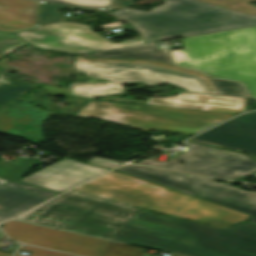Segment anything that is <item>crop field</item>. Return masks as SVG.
<instances>
[{"instance_id": "8a807250", "label": "crop field", "mask_w": 256, "mask_h": 256, "mask_svg": "<svg viewBox=\"0 0 256 256\" xmlns=\"http://www.w3.org/2000/svg\"><path fill=\"white\" fill-rule=\"evenodd\" d=\"M108 239L186 256H256V226L226 231L144 210Z\"/></svg>"}, {"instance_id": "ac0d7876", "label": "crop field", "mask_w": 256, "mask_h": 256, "mask_svg": "<svg viewBox=\"0 0 256 256\" xmlns=\"http://www.w3.org/2000/svg\"><path fill=\"white\" fill-rule=\"evenodd\" d=\"M74 190L184 217L222 229L249 218L245 213L115 171Z\"/></svg>"}, {"instance_id": "34b2d1b8", "label": "crop field", "mask_w": 256, "mask_h": 256, "mask_svg": "<svg viewBox=\"0 0 256 256\" xmlns=\"http://www.w3.org/2000/svg\"><path fill=\"white\" fill-rule=\"evenodd\" d=\"M151 12L122 8L111 13L129 22L145 43L256 26V16L197 0H163Z\"/></svg>"}, {"instance_id": "412701ff", "label": "crop field", "mask_w": 256, "mask_h": 256, "mask_svg": "<svg viewBox=\"0 0 256 256\" xmlns=\"http://www.w3.org/2000/svg\"><path fill=\"white\" fill-rule=\"evenodd\" d=\"M76 71L85 72L93 78H104L111 82L94 84L74 83L68 85L74 95L95 98L102 95H117L124 92V82H146L152 86L170 83L186 91L216 93L209 78L201 72L193 71L153 60L74 58Z\"/></svg>"}, {"instance_id": "f4fd0767", "label": "crop field", "mask_w": 256, "mask_h": 256, "mask_svg": "<svg viewBox=\"0 0 256 256\" xmlns=\"http://www.w3.org/2000/svg\"><path fill=\"white\" fill-rule=\"evenodd\" d=\"M175 64L244 82L256 98V27L183 38Z\"/></svg>"}, {"instance_id": "dd49c442", "label": "crop field", "mask_w": 256, "mask_h": 256, "mask_svg": "<svg viewBox=\"0 0 256 256\" xmlns=\"http://www.w3.org/2000/svg\"><path fill=\"white\" fill-rule=\"evenodd\" d=\"M141 210L72 190L16 220L108 238Z\"/></svg>"}, {"instance_id": "e52e79f7", "label": "crop field", "mask_w": 256, "mask_h": 256, "mask_svg": "<svg viewBox=\"0 0 256 256\" xmlns=\"http://www.w3.org/2000/svg\"><path fill=\"white\" fill-rule=\"evenodd\" d=\"M144 131L195 135L235 115L90 101L76 114Z\"/></svg>"}, {"instance_id": "d8731c3e", "label": "crop field", "mask_w": 256, "mask_h": 256, "mask_svg": "<svg viewBox=\"0 0 256 256\" xmlns=\"http://www.w3.org/2000/svg\"><path fill=\"white\" fill-rule=\"evenodd\" d=\"M127 174L202 198L248 214L249 222L256 223V192L245 191L215 179L164 171L137 165L116 169Z\"/></svg>"}, {"instance_id": "5a996713", "label": "crop field", "mask_w": 256, "mask_h": 256, "mask_svg": "<svg viewBox=\"0 0 256 256\" xmlns=\"http://www.w3.org/2000/svg\"><path fill=\"white\" fill-rule=\"evenodd\" d=\"M36 86L0 71V133L34 143L44 140L42 124L55 113L34 107L19 98Z\"/></svg>"}, {"instance_id": "3316defc", "label": "crop field", "mask_w": 256, "mask_h": 256, "mask_svg": "<svg viewBox=\"0 0 256 256\" xmlns=\"http://www.w3.org/2000/svg\"><path fill=\"white\" fill-rule=\"evenodd\" d=\"M91 26L72 22H60L14 32L28 44L71 55L109 48L142 44V38L122 41L119 44L105 40L92 32Z\"/></svg>"}, {"instance_id": "28ad6ade", "label": "crop field", "mask_w": 256, "mask_h": 256, "mask_svg": "<svg viewBox=\"0 0 256 256\" xmlns=\"http://www.w3.org/2000/svg\"><path fill=\"white\" fill-rule=\"evenodd\" d=\"M183 145L192 147L169 163L153 161L157 157L154 156L138 162V164L217 176L231 180L256 172V162L241 153L189 142ZM180 161L185 163L179 165Z\"/></svg>"}, {"instance_id": "d1516ede", "label": "crop field", "mask_w": 256, "mask_h": 256, "mask_svg": "<svg viewBox=\"0 0 256 256\" xmlns=\"http://www.w3.org/2000/svg\"><path fill=\"white\" fill-rule=\"evenodd\" d=\"M8 237L81 256H102L109 241L11 220L3 226Z\"/></svg>"}, {"instance_id": "22f410ed", "label": "crop field", "mask_w": 256, "mask_h": 256, "mask_svg": "<svg viewBox=\"0 0 256 256\" xmlns=\"http://www.w3.org/2000/svg\"><path fill=\"white\" fill-rule=\"evenodd\" d=\"M190 141L244 152L256 158V112L241 115Z\"/></svg>"}, {"instance_id": "cbeb9de0", "label": "crop field", "mask_w": 256, "mask_h": 256, "mask_svg": "<svg viewBox=\"0 0 256 256\" xmlns=\"http://www.w3.org/2000/svg\"><path fill=\"white\" fill-rule=\"evenodd\" d=\"M107 170L109 169L64 159L21 179L20 182L62 193Z\"/></svg>"}, {"instance_id": "5142ce71", "label": "crop field", "mask_w": 256, "mask_h": 256, "mask_svg": "<svg viewBox=\"0 0 256 256\" xmlns=\"http://www.w3.org/2000/svg\"><path fill=\"white\" fill-rule=\"evenodd\" d=\"M41 1L107 9L110 0H0V31L36 26Z\"/></svg>"}, {"instance_id": "d9b57169", "label": "crop field", "mask_w": 256, "mask_h": 256, "mask_svg": "<svg viewBox=\"0 0 256 256\" xmlns=\"http://www.w3.org/2000/svg\"><path fill=\"white\" fill-rule=\"evenodd\" d=\"M204 94L180 92L178 96L149 98L145 105L202 110ZM207 95L206 110L238 114L244 111L246 99L227 96Z\"/></svg>"}, {"instance_id": "733c2abd", "label": "crop field", "mask_w": 256, "mask_h": 256, "mask_svg": "<svg viewBox=\"0 0 256 256\" xmlns=\"http://www.w3.org/2000/svg\"><path fill=\"white\" fill-rule=\"evenodd\" d=\"M59 193L10 181L0 186V222Z\"/></svg>"}, {"instance_id": "4a817a6b", "label": "crop field", "mask_w": 256, "mask_h": 256, "mask_svg": "<svg viewBox=\"0 0 256 256\" xmlns=\"http://www.w3.org/2000/svg\"><path fill=\"white\" fill-rule=\"evenodd\" d=\"M87 57L153 59L172 64L169 49L159 50L155 42L93 52Z\"/></svg>"}, {"instance_id": "bc2a9ffb", "label": "crop field", "mask_w": 256, "mask_h": 256, "mask_svg": "<svg viewBox=\"0 0 256 256\" xmlns=\"http://www.w3.org/2000/svg\"><path fill=\"white\" fill-rule=\"evenodd\" d=\"M145 251V249L110 241L103 256H142Z\"/></svg>"}, {"instance_id": "214f88e0", "label": "crop field", "mask_w": 256, "mask_h": 256, "mask_svg": "<svg viewBox=\"0 0 256 256\" xmlns=\"http://www.w3.org/2000/svg\"><path fill=\"white\" fill-rule=\"evenodd\" d=\"M27 44L14 33L0 32V58Z\"/></svg>"}, {"instance_id": "92a150f3", "label": "crop field", "mask_w": 256, "mask_h": 256, "mask_svg": "<svg viewBox=\"0 0 256 256\" xmlns=\"http://www.w3.org/2000/svg\"><path fill=\"white\" fill-rule=\"evenodd\" d=\"M210 80L220 94L248 97L241 84L215 78H210Z\"/></svg>"}, {"instance_id": "dafd665d", "label": "crop field", "mask_w": 256, "mask_h": 256, "mask_svg": "<svg viewBox=\"0 0 256 256\" xmlns=\"http://www.w3.org/2000/svg\"><path fill=\"white\" fill-rule=\"evenodd\" d=\"M21 249H26V250L33 251L30 256H72V255H67V254H63V253H58V252H53V251H49V250L36 248V247H33V246H29V245H25ZM16 256H22V255H19L17 253Z\"/></svg>"}, {"instance_id": "00972430", "label": "crop field", "mask_w": 256, "mask_h": 256, "mask_svg": "<svg viewBox=\"0 0 256 256\" xmlns=\"http://www.w3.org/2000/svg\"><path fill=\"white\" fill-rule=\"evenodd\" d=\"M86 163L102 166V167H108V168H113L117 165H120L121 163L113 162V161H104L100 159L93 158ZM118 167V166H117Z\"/></svg>"}, {"instance_id": "a9b5d70f", "label": "crop field", "mask_w": 256, "mask_h": 256, "mask_svg": "<svg viewBox=\"0 0 256 256\" xmlns=\"http://www.w3.org/2000/svg\"><path fill=\"white\" fill-rule=\"evenodd\" d=\"M102 100H111V101H120V102H130V103H139L144 104L145 101L142 100H133V99H123V98H113V97H106L101 98Z\"/></svg>"}, {"instance_id": "4177f3b9", "label": "crop field", "mask_w": 256, "mask_h": 256, "mask_svg": "<svg viewBox=\"0 0 256 256\" xmlns=\"http://www.w3.org/2000/svg\"><path fill=\"white\" fill-rule=\"evenodd\" d=\"M116 26H120V23L119 22L111 23V24H108V25H105V26H100L98 28L102 29V28L109 27L108 30H111V28L116 27Z\"/></svg>"}, {"instance_id": "730fd06b", "label": "crop field", "mask_w": 256, "mask_h": 256, "mask_svg": "<svg viewBox=\"0 0 256 256\" xmlns=\"http://www.w3.org/2000/svg\"><path fill=\"white\" fill-rule=\"evenodd\" d=\"M5 236L2 234V232L0 231V241L4 238ZM0 256H12L11 254H5L3 252H0Z\"/></svg>"}, {"instance_id": "eef30255", "label": "crop field", "mask_w": 256, "mask_h": 256, "mask_svg": "<svg viewBox=\"0 0 256 256\" xmlns=\"http://www.w3.org/2000/svg\"><path fill=\"white\" fill-rule=\"evenodd\" d=\"M206 96L204 95L202 109H205Z\"/></svg>"}, {"instance_id": "ae1a2a85", "label": "crop field", "mask_w": 256, "mask_h": 256, "mask_svg": "<svg viewBox=\"0 0 256 256\" xmlns=\"http://www.w3.org/2000/svg\"><path fill=\"white\" fill-rule=\"evenodd\" d=\"M7 181H9V180H5V179H1V178H0V185L3 184V183H5V182H7Z\"/></svg>"}, {"instance_id": "d3111659", "label": "crop field", "mask_w": 256, "mask_h": 256, "mask_svg": "<svg viewBox=\"0 0 256 256\" xmlns=\"http://www.w3.org/2000/svg\"><path fill=\"white\" fill-rule=\"evenodd\" d=\"M254 175H255V174H254ZM254 177H256V175H255Z\"/></svg>"}]
</instances>
